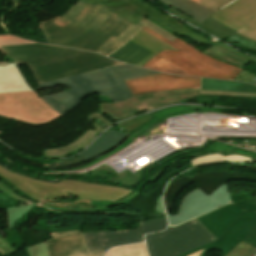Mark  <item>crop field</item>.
<instances>
[{"label":"crop field","mask_w":256,"mask_h":256,"mask_svg":"<svg viewBox=\"0 0 256 256\" xmlns=\"http://www.w3.org/2000/svg\"><path fill=\"white\" fill-rule=\"evenodd\" d=\"M140 23L171 41L177 38L176 35H174L170 31L166 30L165 28H163L162 26L158 25L157 23L153 22L148 18L142 20Z\"/></svg>","instance_id":"obj_31"},{"label":"crop field","mask_w":256,"mask_h":256,"mask_svg":"<svg viewBox=\"0 0 256 256\" xmlns=\"http://www.w3.org/2000/svg\"><path fill=\"white\" fill-rule=\"evenodd\" d=\"M29 256H48L44 242L27 247Z\"/></svg>","instance_id":"obj_35"},{"label":"crop field","mask_w":256,"mask_h":256,"mask_svg":"<svg viewBox=\"0 0 256 256\" xmlns=\"http://www.w3.org/2000/svg\"><path fill=\"white\" fill-rule=\"evenodd\" d=\"M200 94L223 95V96H250V97H256L255 93H238V92L200 91Z\"/></svg>","instance_id":"obj_36"},{"label":"crop field","mask_w":256,"mask_h":256,"mask_svg":"<svg viewBox=\"0 0 256 256\" xmlns=\"http://www.w3.org/2000/svg\"><path fill=\"white\" fill-rule=\"evenodd\" d=\"M228 203H230V197L227 184L221 186L209 197L199 189H195L185 195L176 215L167 214L169 225H178Z\"/></svg>","instance_id":"obj_13"},{"label":"crop field","mask_w":256,"mask_h":256,"mask_svg":"<svg viewBox=\"0 0 256 256\" xmlns=\"http://www.w3.org/2000/svg\"><path fill=\"white\" fill-rule=\"evenodd\" d=\"M90 4H99L103 7L111 10L112 12L124 17L134 25L142 27L139 24L142 19L148 17L155 22L159 23L166 29L170 30L174 34L180 37H186L193 42L202 43L208 48L213 45L210 41L204 37L190 32L180 22L165 16L164 14L154 10L146 2H140L139 0H81ZM158 24V25H159Z\"/></svg>","instance_id":"obj_8"},{"label":"crop field","mask_w":256,"mask_h":256,"mask_svg":"<svg viewBox=\"0 0 256 256\" xmlns=\"http://www.w3.org/2000/svg\"><path fill=\"white\" fill-rule=\"evenodd\" d=\"M196 219L218 239L180 256L203 249L206 250L199 256L212 249L222 251L220 256H227L241 241L256 248V197L228 204Z\"/></svg>","instance_id":"obj_3"},{"label":"crop field","mask_w":256,"mask_h":256,"mask_svg":"<svg viewBox=\"0 0 256 256\" xmlns=\"http://www.w3.org/2000/svg\"><path fill=\"white\" fill-rule=\"evenodd\" d=\"M234 180L253 181L256 182V174H247L230 171H216L202 173L193 178L182 177L171 183L164 194V204L166 212L170 213L175 199L188 186L196 184V186L208 196L217 190L222 184Z\"/></svg>","instance_id":"obj_11"},{"label":"crop field","mask_w":256,"mask_h":256,"mask_svg":"<svg viewBox=\"0 0 256 256\" xmlns=\"http://www.w3.org/2000/svg\"><path fill=\"white\" fill-rule=\"evenodd\" d=\"M205 7L218 11L235 0H193Z\"/></svg>","instance_id":"obj_33"},{"label":"crop field","mask_w":256,"mask_h":256,"mask_svg":"<svg viewBox=\"0 0 256 256\" xmlns=\"http://www.w3.org/2000/svg\"><path fill=\"white\" fill-rule=\"evenodd\" d=\"M128 135L109 130L103 137L97 140L86 152L77 158L67 159L57 163L43 166L65 167L73 166L94 159L118 146Z\"/></svg>","instance_id":"obj_17"},{"label":"crop field","mask_w":256,"mask_h":256,"mask_svg":"<svg viewBox=\"0 0 256 256\" xmlns=\"http://www.w3.org/2000/svg\"><path fill=\"white\" fill-rule=\"evenodd\" d=\"M137 30L138 28L131 24L118 38L111 36L97 52L106 56L109 55L127 42Z\"/></svg>","instance_id":"obj_26"},{"label":"crop field","mask_w":256,"mask_h":256,"mask_svg":"<svg viewBox=\"0 0 256 256\" xmlns=\"http://www.w3.org/2000/svg\"><path fill=\"white\" fill-rule=\"evenodd\" d=\"M58 85L66 86L71 90L41 98L60 115L72 109L89 93L99 92L100 95L110 97L113 102L126 100L134 96L120 75L110 67L38 85L37 90Z\"/></svg>","instance_id":"obj_4"},{"label":"crop field","mask_w":256,"mask_h":256,"mask_svg":"<svg viewBox=\"0 0 256 256\" xmlns=\"http://www.w3.org/2000/svg\"><path fill=\"white\" fill-rule=\"evenodd\" d=\"M199 89L169 90L136 95L118 103H100V111L116 121L146 110L150 111L174 103H187L188 98L195 99V96H199Z\"/></svg>","instance_id":"obj_9"},{"label":"crop field","mask_w":256,"mask_h":256,"mask_svg":"<svg viewBox=\"0 0 256 256\" xmlns=\"http://www.w3.org/2000/svg\"><path fill=\"white\" fill-rule=\"evenodd\" d=\"M0 115L29 124H46L61 117L34 91L0 94Z\"/></svg>","instance_id":"obj_10"},{"label":"crop field","mask_w":256,"mask_h":256,"mask_svg":"<svg viewBox=\"0 0 256 256\" xmlns=\"http://www.w3.org/2000/svg\"><path fill=\"white\" fill-rule=\"evenodd\" d=\"M0 192H2L4 195L8 196L9 198L18 201L21 205H27L35 203L33 201H30L19 194H17L15 191H13L11 188L6 186L4 183L0 181Z\"/></svg>","instance_id":"obj_32"},{"label":"crop field","mask_w":256,"mask_h":256,"mask_svg":"<svg viewBox=\"0 0 256 256\" xmlns=\"http://www.w3.org/2000/svg\"><path fill=\"white\" fill-rule=\"evenodd\" d=\"M202 90L255 92L256 86L240 82L202 78Z\"/></svg>","instance_id":"obj_24"},{"label":"crop field","mask_w":256,"mask_h":256,"mask_svg":"<svg viewBox=\"0 0 256 256\" xmlns=\"http://www.w3.org/2000/svg\"><path fill=\"white\" fill-rule=\"evenodd\" d=\"M254 248L240 243L228 256H254Z\"/></svg>","instance_id":"obj_34"},{"label":"crop field","mask_w":256,"mask_h":256,"mask_svg":"<svg viewBox=\"0 0 256 256\" xmlns=\"http://www.w3.org/2000/svg\"><path fill=\"white\" fill-rule=\"evenodd\" d=\"M0 47L2 53L15 61L17 65H29L38 84L108 66L123 64L96 53L39 43Z\"/></svg>","instance_id":"obj_2"},{"label":"crop field","mask_w":256,"mask_h":256,"mask_svg":"<svg viewBox=\"0 0 256 256\" xmlns=\"http://www.w3.org/2000/svg\"><path fill=\"white\" fill-rule=\"evenodd\" d=\"M172 42L178 44L179 46L183 47L184 49L190 51L191 53H193V54H195V55H197V56H200V57H203V58H205V59H207V60H210V61H212V62H214V63H216V64H219V65H221V66H223V67H225V68H228V69H230V70H232V71H234V72H236V73H238V72L240 71V69H238V68H236V67H234V66H231V65H229V64L220 62V61H218V60H216V59H213V58H211V57H208V56L202 54L199 50L193 48L192 46L188 45L187 43L183 42L182 40H180V39H178V38L175 39V40L172 41Z\"/></svg>","instance_id":"obj_29"},{"label":"crop field","mask_w":256,"mask_h":256,"mask_svg":"<svg viewBox=\"0 0 256 256\" xmlns=\"http://www.w3.org/2000/svg\"><path fill=\"white\" fill-rule=\"evenodd\" d=\"M112 68L115 71H117L124 78V80L161 74V73L153 72L147 69L134 67L128 64L113 66Z\"/></svg>","instance_id":"obj_28"},{"label":"crop field","mask_w":256,"mask_h":256,"mask_svg":"<svg viewBox=\"0 0 256 256\" xmlns=\"http://www.w3.org/2000/svg\"><path fill=\"white\" fill-rule=\"evenodd\" d=\"M150 53L152 52L129 41L109 57L135 65Z\"/></svg>","instance_id":"obj_23"},{"label":"crop field","mask_w":256,"mask_h":256,"mask_svg":"<svg viewBox=\"0 0 256 256\" xmlns=\"http://www.w3.org/2000/svg\"><path fill=\"white\" fill-rule=\"evenodd\" d=\"M145 31L159 38L180 52L165 50L145 63L143 67L186 76L211 77L232 80L236 73L197 57L171 41L143 27Z\"/></svg>","instance_id":"obj_6"},{"label":"crop field","mask_w":256,"mask_h":256,"mask_svg":"<svg viewBox=\"0 0 256 256\" xmlns=\"http://www.w3.org/2000/svg\"><path fill=\"white\" fill-rule=\"evenodd\" d=\"M204 251V250H203ZM203 251H199V252H197V253H194V254H192V255H190V256H198L201 252H203Z\"/></svg>","instance_id":"obj_40"},{"label":"crop field","mask_w":256,"mask_h":256,"mask_svg":"<svg viewBox=\"0 0 256 256\" xmlns=\"http://www.w3.org/2000/svg\"><path fill=\"white\" fill-rule=\"evenodd\" d=\"M0 176L40 202L45 198L66 199L72 197L86 200H112L116 202L133 192L113 186L75 180H61L57 183H49L19 175L4 168L2 165H0Z\"/></svg>","instance_id":"obj_5"},{"label":"crop field","mask_w":256,"mask_h":256,"mask_svg":"<svg viewBox=\"0 0 256 256\" xmlns=\"http://www.w3.org/2000/svg\"><path fill=\"white\" fill-rule=\"evenodd\" d=\"M217 239L196 219L164 232L145 236L150 256H178Z\"/></svg>","instance_id":"obj_7"},{"label":"crop field","mask_w":256,"mask_h":256,"mask_svg":"<svg viewBox=\"0 0 256 256\" xmlns=\"http://www.w3.org/2000/svg\"><path fill=\"white\" fill-rule=\"evenodd\" d=\"M202 53L241 69H244L250 61L256 62V59L250 58L222 42L216 43Z\"/></svg>","instance_id":"obj_19"},{"label":"crop field","mask_w":256,"mask_h":256,"mask_svg":"<svg viewBox=\"0 0 256 256\" xmlns=\"http://www.w3.org/2000/svg\"><path fill=\"white\" fill-rule=\"evenodd\" d=\"M5 63H14V62H0V64H5Z\"/></svg>","instance_id":"obj_41"},{"label":"crop field","mask_w":256,"mask_h":256,"mask_svg":"<svg viewBox=\"0 0 256 256\" xmlns=\"http://www.w3.org/2000/svg\"><path fill=\"white\" fill-rule=\"evenodd\" d=\"M210 17L237 31H251L256 28V0H236Z\"/></svg>","instance_id":"obj_14"},{"label":"crop field","mask_w":256,"mask_h":256,"mask_svg":"<svg viewBox=\"0 0 256 256\" xmlns=\"http://www.w3.org/2000/svg\"><path fill=\"white\" fill-rule=\"evenodd\" d=\"M33 206L34 205L7 209V218H8L9 228H12L13 225L19 219H21Z\"/></svg>","instance_id":"obj_30"},{"label":"crop field","mask_w":256,"mask_h":256,"mask_svg":"<svg viewBox=\"0 0 256 256\" xmlns=\"http://www.w3.org/2000/svg\"><path fill=\"white\" fill-rule=\"evenodd\" d=\"M126 83L129 85L135 95L159 90L200 87V78L162 74L127 80Z\"/></svg>","instance_id":"obj_15"},{"label":"crop field","mask_w":256,"mask_h":256,"mask_svg":"<svg viewBox=\"0 0 256 256\" xmlns=\"http://www.w3.org/2000/svg\"><path fill=\"white\" fill-rule=\"evenodd\" d=\"M167 10L169 12L179 16L180 18H182V19H184V20H186V21H188V22H190V23H192V24H194V25H196V26H198V27H200V28H202V29H204V30H206V31L216 35V36H218V37H220L221 39H223L225 37H228V36H230L232 34H235L237 36H240V37H243L245 39H248V38H246V37L236 33V31H234V30L224 26L223 24L217 22L216 20H214V19H212L210 17L200 24V23L192 20L187 15H185L184 13L178 11L177 9H175L173 7H170ZM248 40H250V39H248ZM250 41H253V42L256 43V41H254V40H250Z\"/></svg>","instance_id":"obj_20"},{"label":"crop field","mask_w":256,"mask_h":256,"mask_svg":"<svg viewBox=\"0 0 256 256\" xmlns=\"http://www.w3.org/2000/svg\"><path fill=\"white\" fill-rule=\"evenodd\" d=\"M38 25L48 44L96 52L111 35L117 37L130 23L101 7L77 1L61 16Z\"/></svg>","instance_id":"obj_1"},{"label":"crop field","mask_w":256,"mask_h":256,"mask_svg":"<svg viewBox=\"0 0 256 256\" xmlns=\"http://www.w3.org/2000/svg\"><path fill=\"white\" fill-rule=\"evenodd\" d=\"M161 2L173 6L180 11L187 14L189 17L199 21L200 23L212 15L213 11L208 8H204L190 0H160Z\"/></svg>","instance_id":"obj_21"},{"label":"crop field","mask_w":256,"mask_h":256,"mask_svg":"<svg viewBox=\"0 0 256 256\" xmlns=\"http://www.w3.org/2000/svg\"><path fill=\"white\" fill-rule=\"evenodd\" d=\"M238 33H240L248 38L256 40V29L250 32L243 28L240 31H238Z\"/></svg>","instance_id":"obj_38"},{"label":"crop field","mask_w":256,"mask_h":256,"mask_svg":"<svg viewBox=\"0 0 256 256\" xmlns=\"http://www.w3.org/2000/svg\"><path fill=\"white\" fill-rule=\"evenodd\" d=\"M131 41L141 45L142 47L152 51L153 53L150 54L148 57L143 59L141 62H139L137 65L141 66L148 60H150L152 57L157 55L159 52H161L164 49L174 50L170 46L166 45L159 39L155 38L154 36L150 35L149 33L143 31L140 29V31L131 38Z\"/></svg>","instance_id":"obj_22"},{"label":"crop field","mask_w":256,"mask_h":256,"mask_svg":"<svg viewBox=\"0 0 256 256\" xmlns=\"http://www.w3.org/2000/svg\"><path fill=\"white\" fill-rule=\"evenodd\" d=\"M100 132L88 130L76 141L64 147L49 148L45 149V156H58L69 153L79 147L85 148L89 143H91L95 138L99 136Z\"/></svg>","instance_id":"obj_25"},{"label":"crop field","mask_w":256,"mask_h":256,"mask_svg":"<svg viewBox=\"0 0 256 256\" xmlns=\"http://www.w3.org/2000/svg\"><path fill=\"white\" fill-rule=\"evenodd\" d=\"M32 90L16 64L0 65V93Z\"/></svg>","instance_id":"obj_18"},{"label":"crop field","mask_w":256,"mask_h":256,"mask_svg":"<svg viewBox=\"0 0 256 256\" xmlns=\"http://www.w3.org/2000/svg\"><path fill=\"white\" fill-rule=\"evenodd\" d=\"M45 242L49 256H103L107 249L87 251L81 232L52 234Z\"/></svg>","instance_id":"obj_16"},{"label":"crop field","mask_w":256,"mask_h":256,"mask_svg":"<svg viewBox=\"0 0 256 256\" xmlns=\"http://www.w3.org/2000/svg\"><path fill=\"white\" fill-rule=\"evenodd\" d=\"M105 256H148L144 243L112 248Z\"/></svg>","instance_id":"obj_27"},{"label":"crop field","mask_w":256,"mask_h":256,"mask_svg":"<svg viewBox=\"0 0 256 256\" xmlns=\"http://www.w3.org/2000/svg\"><path fill=\"white\" fill-rule=\"evenodd\" d=\"M156 209H157L158 212H164L163 204H162V198H159L158 205H157Z\"/></svg>","instance_id":"obj_39"},{"label":"crop field","mask_w":256,"mask_h":256,"mask_svg":"<svg viewBox=\"0 0 256 256\" xmlns=\"http://www.w3.org/2000/svg\"><path fill=\"white\" fill-rule=\"evenodd\" d=\"M30 43L29 41L13 37V36H0V45Z\"/></svg>","instance_id":"obj_37"},{"label":"crop field","mask_w":256,"mask_h":256,"mask_svg":"<svg viewBox=\"0 0 256 256\" xmlns=\"http://www.w3.org/2000/svg\"><path fill=\"white\" fill-rule=\"evenodd\" d=\"M140 228L116 232L99 231L82 233L87 249H102L143 241V234L166 229V217L139 223Z\"/></svg>","instance_id":"obj_12"}]
</instances>
